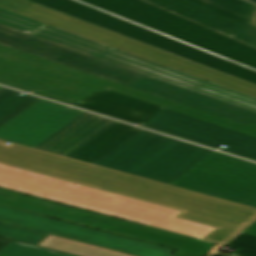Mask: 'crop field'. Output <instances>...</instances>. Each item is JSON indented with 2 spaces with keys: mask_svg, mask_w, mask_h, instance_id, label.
I'll return each instance as SVG.
<instances>
[{
  "mask_svg": "<svg viewBox=\"0 0 256 256\" xmlns=\"http://www.w3.org/2000/svg\"><path fill=\"white\" fill-rule=\"evenodd\" d=\"M20 194L0 190V205L8 207Z\"/></svg>",
  "mask_w": 256,
  "mask_h": 256,
  "instance_id": "crop-field-24",
  "label": "crop field"
},
{
  "mask_svg": "<svg viewBox=\"0 0 256 256\" xmlns=\"http://www.w3.org/2000/svg\"><path fill=\"white\" fill-rule=\"evenodd\" d=\"M145 126L256 159V138L163 108ZM221 144L229 146L224 149ZM211 146V147H212Z\"/></svg>",
  "mask_w": 256,
  "mask_h": 256,
  "instance_id": "crop-field-14",
  "label": "crop field"
},
{
  "mask_svg": "<svg viewBox=\"0 0 256 256\" xmlns=\"http://www.w3.org/2000/svg\"><path fill=\"white\" fill-rule=\"evenodd\" d=\"M244 233L256 235V222H254Z\"/></svg>",
  "mask_w": 256,
  "mask_h": 256,
  "instance_id": "crop-field-25",
  "label": "crop field"
},
{
  "mask_svg": "<svg viewBox=\"0 0 256 256\" xmlns=\"http://www.w3.org/2000/svg\"><path fill=\"white\" fill-rule=\"evenodd\" d=\"M175 254H176V256H190V255H188L186 253L179 252V251H177Z\"/></svg>",
  "mask_w": 256,
  "mask_h": 256,
  "instance_id": "crop-field-28",
  "label": "crop field"
},
{
  "mask_svg": "<svg viewBox=\"0 0 256 256\" xmlns=\"http://www.w3.org/2000/svg\"><path fill=\"white\" fill-rule=\"evenodd\" d=\"M8 89L0 95V126L23 112L40 98Z\"/></svg>",
  "mask_w": 256,
  "mask_h": 256,
  "instance_id": "crop-field-20",
  "label": "crop field"
},
{
  "mask_svg": "<svg viewBox=\"0 0 256 256\" xmlns=\"http://www.w3.org/2000/svg\"><path fill=\"white\" fill-rule=\"evenodd\" d=\"M11 242H12V241L0 239V250H2L4 247H6L7 245H9Z\"/></svg>",
  "mask_w": 256,
  "mask_h": 256,
  "instance_id": "crop-field-26",
  "label": "crop field"
},
{
  "mask_svg": "<svg viewBox=\"0 0 256 256\" xmlns=\"http://www.w3.org/2000/svg\"><path fill=\"white\" fill-rule=\"evenodd\" d=\"M9 207L174 248L193 256H207L215 247V244L23 195Z\"/></svg>",
  "mask_w": 256,
  "mask_h": 256,
  "instance_id": "crop-field-11",
  "label": "crop field"
},
{
  "mask_svg": "<svg viewBox=\"0 0 256 256\" xmlns=\"http://www.w3.org/2000/svg\"><path fill=\"white\" fill-rule=\"evenodd\" d=\"M256 84V72L73 0H31Z\"/></svg>",
  "mask_w": 256,
  "mask_h": 256,
  "instance_id": "crop-field-10",
  "label": "crop field"
},
{
  "mask_svg": "<svg viewBox=\"0 0 256 256\" xmlns=\"http://www.w3.org/2000/svg\"><path fill=\"white\" fill-rule=\"evenodd\" d=\"M0 236L37 245L48 234L0 223Z\"/></svg>",
  "mask_w": 256,
  "mask_h": 256,
  "instance_id": "crop-field-21",
  "label": "crop field"
},
{
  "mask_svg": "<svg viewBox=\"0 0 256 256\" xmlns=\"http://www.w3.org/2000/svg\"><path fill=\"white\" fill-rule=\"evenodd\" d=\"M0 256H72L51 250L13 242L0 251Z\"/></svg>",
  "mask_w": 256,
  "mask_h": 256,
  "instance_id": "crop-field-22",
  "label": "crop field"
},
{
  "mask_svg": "<svg viewBox=\"0 0 256 256\" xmlns=\"http://www.w3.org/2000/svg\"><path fill=\"white\" fill-rule=\"evenodd\" d=\"M6 88L0 87V93L4 91Z\"/></svg>",
  "mask_w": 256,
  "mask_h": 256,
  "instance_id": "crop-field-29",
  "label": "crop field"
},
{
  "mask_svg": "<svg viewBox=\"0 0 256 256\" xmlns=\"http://www.w3.org/2000/svg\"><path fill=\"white\" fill-rule=\"evenodd\" d=\"M250 1H252V2H255V3H256V0H250Z\"/></svg>",
  "mask_w": 256,
  "mask_h": 256,
  "instance_id": "crop-field-31",
  "label": "crop field"
},
{
  "mask_svg": "<svg viewBox=\"0 0 256 256\" xmlns=\"http://www.w3.org/2000/svg\"><path fill=\"white\" fill-rule=\"evenodd\" d=\"M115 122L85 113L36 149L68 157Z\"/></svg>",
  "mask_w": 256,
  "mask_h": 256,
  "instance_id": "crop-field-16",
  "label": "crop field"
},
{
  "mask_svg": "<svg viewBox=\"0 0 256 256\" xmlns=\"http://www.w3.org/2000/svg\"><path fill=\"white\" fill-rule=\"evenodd\" d=\"M141 130L142 129L117 122L72 154L69 158L95 164Z\"/></svg>",
  "mask_w": 256,
  "mask_h": 256,
  "instance_id": "crop-field-18",
  "label": "crop field"
},
{
  "mask_svg": "<svg viewBox=\"0 0 256 256\" xmlns=\"http://www.w3.org/2000/svg\"><path fill=\"white\" fill-rule=\"evenodd\" d=\"M256 48V28L248 25L255 5L243 0H143Z\"/></svg>",
  "mask_w": 256,
  "mask_h": 256,
  "instance_id": "crop-field-12",
  "label": "crop field"
},
{
  "mask_svg": "<svg viewBox=\"0 0 256 256\" xmlns=\"http://www.w3.org/2000/svg\"><path fill=\"white\" fill-rule=\"evenodd\" d=\"M0 140V164L183 211L177 218L218 228L203 240L225 244L256 209Z\"/></svg>",
  "mask_w": 256,
  "mask_h": 256,
  "instance_id": "crop-field-1",
  "label": "crop field"
},
{
  "mask_svg": "<svg viewBox=\"0 0 256 256\" xmlns=\"http://www.w3.org/2000/svg\"><path fill=\"white\" fill-rule=\"evenodd\" d=\"M0 44L256 127V113L0 26Z\"/></svg>",
  "mask_w": 256,
  "mask_h": 256,
  "instance_id": "crop-field-4",
  "label": "crop field"
},
{
  "mask_svg": "<svg viewBox=\"0 0 256 256\" xmlns=\"http://www.w3.org/2000/svg\"><path fill=\"white\" fill-rule=\"evenodd\" d=\"M0 25L256 111V98L0 8Z\"/></svg>",
  "mask_w": 256,
  "mask_h": 256,
  "instance_id": "crop-field-5",
  "label": "crop field"
},
{
  "mask_svg": "<svg viewBox=\"0 0 256 256\" xmlns=\"http://www.w3.org/2000/svg\"><path fill=\"white\" fill-rule=\"evenodd\" d=\"M38 246L78 256H130L49 235Z\"/></svg>",
  "mask_w": 256,
  "mask_h": 256,
  "instance_id": "crop-field-19",
  "label": "crop field"
},
{
  "mask_svg": "<svg viewBox=\"0 0 256 256\" xmlns=\"http://www.w3.org/2000/svg\"><path fill=\"white\" fill-rule=\"evenodd\" d=\"M211 151L143 130L96 165L167 184Z\"/></svg>",
  "mask_w": 256,
  "mask_h": 256,
  "instance_id": "crop-field-7",
  "label": "crop field"
},
{
  "mask_svg": "<svg viewBox=\"0 0 256 256\" xmlns=\"http://www.w3.org/2000/svg\"><path fill=\"white\" fill-rule=\"evenodd\" d=\"M0 7L115 47L158 64L256 97V85L28 0H0Z\"/></svg>",
  "mask_w": 256,
  "mask_h": 256,
  "instance_id": "crop-field-6",
  "label": "crop field"
},
{
  "mask_svg": "<svg viewBox=\"0 0 256 256\" xmlns=\"http://www.w3.org/2000/svg\"><path fill=\"white\" fill-rule=\"evenodd\" d=\"M227 245L240 248L235 256H256V236L242 233Z\"/></svg>",
  "mask_w": 256,
  "mask_h": 256,
  "instance_id": "crop-field-23",
  "label": "crop field"
},
{
  "mask_svg": "<svg viewBox=\"0 0 256 256\" xmlns=\"http://www.w3.org/2000/svg\"><path fill=\"white\" fill-rule=\"evenodd\" d=\"M0 220L139 256H174L172 249L0 206Z\"/></svg>",
  "mask_w": 256,
  "mask_h": 256,
  "instance_id": "crop-field-13",
  "label": "crop field"
},
{
  "mask_svg": "<svg viewBox=\"0 0 256 256\" xmlns=\"http://www.w3.org/2000/svg\"><path fill=\"white\" fill-rule=\"evenodd\" d=\"M256 69V49L140 0H80Z\"/></svg>",
  "mask_w": 256,
  "mask_h": 256,
  "instance_id": "crop-field-8",
  "label": "crop field"
},
{
  "mask_svg": "<svg viewBox=\"0 0 256 256\" xmlns=\"http://www.w3.org/2000/svg\"><path fill=\"white\" fill-rule=\"evenodd\" d=\"M0 187L202 239L216 228L175 218L181 211L0 165Z\"/></svg>",
  "mask_w": 256,
  "mask_h": 256,
  "instance_id": "crop-field-3",
  "label": "crop field"
},
{
  "mask_svg": "<svg viewBox=\"0 0 256 256\" xmlns=\"http://www.w3.org/2000/svg\"><path fill=\"white\" fill-rule=\"evenodd\" d=\"M168 185L256 208V164L215 151Z\"/></svg>",
  "mask_w": 256,
  "mask_h": 256,
  "instance_id": "crop-field-9",
  "label": "crop field"
},
{
  "mask_svg": "<svg viewBox=\"0 0 256 256\" xmlns=\"http://www.w3.org/2000/svg\"><path fill=\"white\" fill-rule=\"evenodd\" d=\"M83 113L41 99L0 127V139L35 148Z\"/></svg>",
  "mask_w": 256,
  "mask_h": 256,
  "instance_id": "crop-field-15",
  "label": "crop field"
},
{
  "mask_svg": "<svg viewBox=\"0 0 256 256\" xmlns=\"http://www.w3.org/2000/svg\"><path fill=\"white\" fill-rule=\"evenodd\" d=\"M144 125L162 107L142 102L109 90L72 103Z\"/></svg>",
  "mask_w": 256,
  "mask_h": 256,
  "instance_id": "crop-field-17",
  "label": "crop field"
},
{
  "mask_svg": "<svg viewBox=\"0 0 256 256\" xmlns=\"http://www.w3.org/2000/svg\"><path fill=\"white\" fill-rule=\"evenodd\" d=\"M249 24L256 27V9Z\"/></svg>",
  "mask_w": 256,
  "mask_h": 256,
  "instance_id": "crop-field-27",
  "label": "crop field"
},
{
  "mask_svg": "<svg viewBox=\"0 0 256 256\" xmlns=\"http://www.w3.org/2000/svg\"><path fill=\"white\" fill-rule=\"evenodd\" d=\"M218 254H223V253H219V252H217ZM223 255H226V256H231V255H227V254H223Z\"/></svg>",
  "mask_w": 256,
  "mask_h": 256,
  "instance_id": "crop-field-30",
  "label": "crop field"
},
{
  "mask_svg": "<svg viewBox=\"0 0 256 256\" xmlns=\"http://www.w3.org/2000/svg\"><path fill=\"white\" fill-rule=\"evenodd\" d=\"M0 82L72 103L109 89L256 137V128L0 45Z\"/></svg>",
  "mask_w": 256,
  "mask_h": 256,
  "instance_id": "crop-field-2",
  "label": "crop field"
}]
</instances>
